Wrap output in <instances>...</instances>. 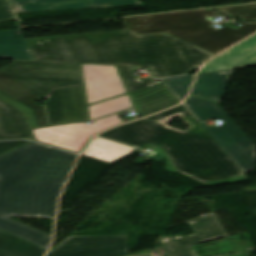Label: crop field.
<instances>
[{
  "mask_svg": "<svg viewBox=\"0 0 256 256\" xmlns=\"http://www.w3.org/2000/svg\"><path fill=\"white\" fill-rule=\"evenodd\" d=\"M35 60L116 65L129 93L160 83L141 81L132 66L154 78L183 75L214 54L165 33L137 35L129 30L26 39Z\"/></svg>",
  "mask_w": 256,
  "mask_h": 256,
  "instance_id": "crop-field-1",
  "label": "crop field"
},
{
  "mask_svg": "<svg viewBox=\"0 0 256 256\" xmlns=\"http://www.w3.org/2000/svg\"><path fill=\"white\" fill-rule=\"evenodd\" d=\"M76 157L34 142L0 156V229L47 248L50 235L8 217L54 218L57 196Z\"/></svg>",
  "mask_w": 256,
  "mask_h": 256,
  "instance_id": "crop-field-2",
  "label": "crop field"
},
{
  "mask_svg": "<svg viewBox=\"0 0 256 256\" xmlns=\"http://www.w3.org/2000/svg\"><path fill=\"white\" fill-rule=\"evenodd\" d=\"M178 115L192 127L182 132L164 124ZM99 136L128 145L156 143L178 172L207 186L248 179L183 105Z\"/></svg>",
  "mask_w": 256,
  "mask_h": 256,
  "instance_id": "crop-field-3",
  "label": "crop field"
},
{
  "mask_svg": "<svg viewBox=\"0 0 256 256\" xmlns=\"http://www.w3.org/2000/svg\"><path fill=\"white\" fill-rule=\"evenodd\" d=\"M82 85L78 64L13 60L0 68V99L22 111L29 127L47 124L35 101L55 88Z\"/></svg>",
  "mask_w": 256,
  "mask_h": 256,
  "instance_id": "crop-field-4",
  "label": "crop field"
},
{
  "mask_svg": "<svg viewBox=\"0 0 256 256\" xmlns=\"http://www.w3.org/2000/svg\"><path fill=\"white\" fill-rule=\"evenodd\" d=\"M207 10L173 12L122 18L125 28L137 34L165 32L214 54L241 41L256 31V24L239 29L226 25L214 29L207 17L218 16Z\"/></svg>",
  "mask_w": 256,
  "mask_h": 256,
  "instance_id": "crop-field-5",
  "label": "crop field"
},
{
  "mask_svg": "<svg viewBox=\"0 0 256 256\" xmlns=\"http://www.w3.org/2000/svg\"><path fill=\"white\" fill-rule=\"evenodd\" d=\"M185 104L201 121H208L209 118L223 120L220 127L200 124L243 172L254 170L256 149L217 103L188 97Z\"/></svg>",
  "mask_w": 256,
  "mask_h": 256,
  "instance_id": "crop-field-6",
  "label": "crop field"
},
{
  "mask_svg": "<svg viewBox=\"0 0 256 256\" xmlns=\"http://www.w3.org/2000/svg\"><path fill=\"white\" fill-rule=\"evenodd\" d=\"M115 113L95 120L91 125L84 122L32 130L37 141L78 153L85 142L95 133L123 121Z\"/></svg>",
  "mask_w": 256,
  "mask_h": 256,
  "instance_id": "crop-field-7",
  "label": "crop field"
},
{
  "mask_svg": "<svg viewBox=\"0 0 256 256\" xmlns=\"http://www.w3.org/2000/svg\"><path fill=\"white\" fill-rule=\"evenodd\" d=\"M127 254V235L68 236L46 256H124Z\"/></svg>",
  "mask_w": 256,
  "mask_h": 256,
  "instance_id": "crop-field-8",
  "label": "crop field"
},
{
  "mask_svg": "<svg viewBox=\"0 0 256 256\" xmlns=\"http://www.w3.org/2000/svg\"><path fill=\"white\" fill-rule=\"evenodd\" d=\"M195 234L189 236H168L160 241L168 256H196L190 245L226 237L227 234L213 215L189 221ZM172 248V250H169Z\"/></svg>",
  "mask_w": 256,
  "mask_h": 256,
  "instance_id": "crop-field-9",
  "label": "crop field"
},
{
  "mask_svg": "<svg viewBox=\"0 0 256 256\" xmlns=\"http://www.w3.org/2000/svg\"><path fill=\"white\" fill-rule=\"evenodd\" d=\"M87 103L127 93L115 66L82 64Z\"/></svg>",
  "mask_w": 256,
  "mask_h": 256,
  "instance_id": "crop-field-10",
  "label": "crop field"
},
{
  "mask_svg": "<svg viewBox=\"0 0 256 256\" xmlns=\"http://www.w3.org/2000/svg\"><path fill=\"white\" fill-rule=\"evenodd\" d=\"M47 98L50 124L87 119L82 86L53 90Z\"/></svg>",
  "mask_w": 256,
  "mask_h": 256,
  "instance_id": "crop-field-11",
  "label": "crop field"
},
{
  "mask_svg": "<svg viewBox=\"0 0 256 256\" xmlns=\"http://www.w3.org/2000/svg\"><path fill=\"white\" fill-rule=\"evenodd\" d=\"M16 13L140 4L138 0H9Z\"/></svg>",
  "mask_w": 256,
  "mask_h": 256,
  "instance_id": "crop-field-12",
  "label": "crop field"
},
{
  "mask_svg": "<svg viewBox=\"0 0 256 256\" xmlns=\"http://www.w3.org/2000/svg\"><path fill=\"white\" fill-rule=\"evenodd\" d=\"M256 66V35L205 65L200 73Z\"/></svg>",
  "mask_w": 256,
  "mask_h": 256,
  "instance_id": "crop-field-13",
  "label": "crop field"
},
{
  "mask_svg": "<svg viewBox=\"0 0 256 256\" xmlns=\"http://www.w3.org/2000/svg\"><path fill=\"white\" fill-rule=\"evenodd\" d=\"M129 95L141 117L179 103L162 83Z\"/></svg>",
  "mask_w": 256,
  "mask_h": 256,
  "instance_id": "crop-field-14",
  "label": "crop field"
},
{
  "mask_svg": "<svg viewBox=\"0 0 256 256\" xmlns=\"http://www.w3.org/2000/svg\"><path fill=\"white\" fill-rule=\"evenodd\" d=\"M233 71L199 74L189 96L221 103Z\"/></svg>",
  "mask_w": 256,
  "mask_h": 256,
  "instance_id": "crop-field-15",
  "label": "crop field"
},
{
  "mask_svg": "<svg viewBox=\"0 0 256 256\" xmlns=\"http://www.w3.org/2000/svg\"><path fill=\"white\" fill-rule=\"evenodd\" d=\"M21 111L0 100V139L31 137Z\"/></svg>",
  "mask_w": 256,
  "mask_h": 256,
  "instance_id": "crop-field-16",
  "label": "crop field"
},
{
  "mask_svg": "<svg viewBox=\"0 0 256 256\" xmlns=\"http://www.w3.org/2000/svg\"><path fill=\"white\" fill-rule=\"evenodd\" d=\"M0 58L34 60L20 29L0 31Z\"/></svg>",
  "mask_w": 256,
  "mask_h": 256,
  "instance_id": "crop-field-17",
  "label": "crop field"
},
{
  "mask_svg": "<svg viewBox=\"0 0 256 256\" xmlns=\"http://www.w3.org/2000/svg\"><path fill=\"white\" fill-rule=\"evenodd\" d=\"M135 150L136 149L96 138L89 143L83 154L108 163H113L130 155Z\"/></svg>",
  "mask_w": 256,
  "mask_h": 256,
  "instance_id": "crop-field-18",
  "label": "crop field"
},
{
  "mask_svg": "<svg viewBox=\"0 0 256 256\" xmlns=\"http://www.w3.org/2000/svg\"><path fill=\"white\" fill-rule=\"evenodd\" d=\"M46 249L0 230V256H43Z\"/></svg>",
  "mask_w": 256,
  "mask_h": 256,
  "instance_id": "crop-field-19",
  "label": "crop field"
},
{
  "mask_svg": "<svg viewBox=\"0 0 256 256\" xmlns=\"http://www.w3.org/2000/svg\"><path fill=\"white\" fill-rule=\"evenodd\" d=\"M133 106L134 105L129 95L127 94L99 104L89 106L88 110L90 119H95Z\"/></svg>",
  "mask_w": 256,
  "mask_h": 256,
  "instance_id": "crop-field-20",
  "label": "crop field"
},
{
  "mask_svg": "<svg viewBox=\"0 0 256 256\" xmlns=\"http://www.w3.org/2000/svg\"><path fill=\"white\" fill-rule=\"evenodd\" d=\"M213 10H218L229 16H236L243 21H256V4L217 8Z\"/></svg>",
  "mask_w": 256,
  "mask_h": 256,
  "instance_id": "crop-field-21",
  "label": "crop field"
},
{
  "mask_svg": "<svg viewBox=\"0 0 256 256\" xmlns=\"http://www.w3.org/2000/svg\"><path fill=\"white\" fill-rule=\"evenodd\" d=\"M194 76L195 75H188V76H180V77H173V78H165L162 80L182 101L189 89V86H190Z\"/></svg>",
  "mask_w": 256,
  "mask_h": 256,
  "instance_id": "crop-field-22",
  "label": "crop field"
},
{
  "mask_svg": "<svg viewBox=\"0 0 256 256\" xmlns=\"http://www.w3.org/2000/svg\"><path fill=\"white\" fill-rule=\"evenodd\" d=\"M30 141L26 140H20V141H9V142H0V154L9 151L11 149H14L18 146H21L23 144H26Z\"/></svg>",
  "mask_w": 256,
  "mask_h": 256,
  "instance_id": "crop-field-23",
  "label": "crop field"
},
{
  "mask_svg": "<svg viewBox=\"0 0 256 256\" xmlns=\"http://www.w3.org/2000/svg\"><path fill=\"white\" fill-rule=\"evenodd\" d=\"M14 18L6 0H0V20Z\"/></svg>",
  "mask_w": 256,
  "mask_h": 256,
  "instance_id": "crop-field-24",
  "label": "crop field"
},
{
  "mask_svg": "<svg viewBox=\"0 0 256 256\" xmlns=\"http://www.w3.org/2000/svg\"><path fill=\"white\" fill-rule=\"evenodd\" d=\"M256 1V0H255Z\"/></svg>",
  "mask_w": 256,
  "mask_h": 256,
  "instance_id": "crop-field-25",
  "label": "crop field"
},
{
  "mask_svg": "<svg viewBox=\"0 0 256 256\" xmlns=\"http://www.w3.org/2000/svg\"><path fill=\"white\" fill-rule=\"evenodd\" d=\"M151 256V255H150Z\"/></svg>",
  "mask_w": 256,
  "mask_h": 256,
  "instance_id": "crop-field-26",
  "label": "crop field"
}]
</instances>
